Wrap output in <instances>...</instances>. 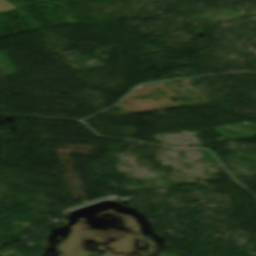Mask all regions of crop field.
Segmentation results:
<instances>
[{
	"instance_id": "obj_1",
	"label": "crop field",
	"mask_w": 256,
	"mask_h": 256,
	"mask_svg": "<svg viewBox=\"0 0 256 256\" xmlns=\"http://www.w3.org/2000/svg\"><path fill=\"white\" fill-rule=\"evenodd\" d=\"M12 8H16V7L5 0H0V12L4 10L12 9Z\"/></svg>"
}]
</instances>
